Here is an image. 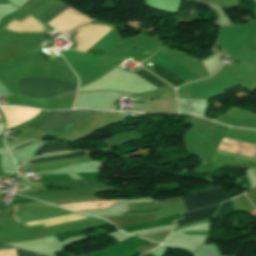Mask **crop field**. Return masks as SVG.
<instances>
[{"label": "crop field", "instance_id": "crop-field-1", "mask_svg": "<svg viewBox=\"0 0 256 256\" xmlns=\"http://www.w3.org/2000/svg\"><path fill=\"white\" fill-rule=\"evenodd\" d=\"M18 86L22 96L50 98L60 93L75 91L77 85L58 79L24 77L19 80Z\"/></svg>", "mask_w": 256, "mask_h": 256}, {"label": "crop field", "instance_id": "crop-field-2", "mask_svg": "<svg viewBox=\"0 0 256 256\" xmlns=\"http://www.w3.org/2000/svg\"><path fill=\"white\" fill-rule=\"evenodd\" d=\"M181 198L188 211L211 206L215 203L230 199V197H228L219 188L183 196Z\"/></svg>", "mask_w": 256, "mask_h": 256}, {"label": "crop field", "instance_id": "crop-field-3", "mask_svg": "<svg viewBox=\"0 0 256 256\" xmlns=\"http://www.w3.org/2000/svg\"><path fill=\"white\" fill-rule=\"evenodd\" d=\"M73 121L74 120L70 111H51L45 119L41 120L33 126L42 130H46L57 128Z\"/></svg>", "mask_w": 256, "mask_h": 256}, {"label": "crop field", "instance_id": "crop-field-4", "mask_svg": "<svg viewBox=\"0 0 256 256\" xmlns=\"http://www.w3.org/2000/svg\"><path fill=\"white\" fill-rule=\"evenodd\" d=\"M213 162L224 163L245 168H256V159L217 150Z\"/></svg>", "mask_w": 256, "mask_h": 256}, {"label": "crop field", "instance_id": "crop-field-5", "mask_svg": "<svg viewBox=\"0 0 256 256\" xmlns=\"http://www.w3.org/2000/svg\"><path fill=\"white\" fill-rule=\"evenodd\" d=\"M66 213H72V212L54 207V208L44 209V210L18 212L16 213V215L21 222H25V221H31V220H36V219L51 217L55 215L66 214ZM13 216L16 218L14 213H13ZM18 219L17 221L20 222Z\"/></svg>", "mask_w": 256, "mask_h": 256}, {"label": "crop field", "instance_id": "crop-field-6", "mask_svg": "<svg viewBox=\"0 0 256 256\" xmlns=\"http://www.w3.org/2000/svg\"><path fill=\"white\" fill-rule=\"evenodd\" d=\"M180 113L206 115L208 101L178 99Z\"/></svg>", "mask_w": 256, "mask_h": 256}, {"label": "crop field", "instance_id": "crop-field-7", "mask_svg": "<svg viewBox=\"0 0 256 256\" xmlns=\"http://www.w3.org/2000/svg\"><path fill=\"white\" fill-rule=\"evenodd\" d=\"M218 205L183 213L184 219L177 220L176 222L181 226L194 221L212 218Z\"/></svg>", "mask_w": 256, "mask_h": 256}, {"label": "crop field", "instance_id": "crop-field-8", "mask_svg": "<svg viewBox=\"0 0 256 256\" xmlns=\"http://www.w3.org/2000/svg\"><path fill=\"white\" fill-rule=\"evenodd\" d=\"M104 219H107L113 223H116L117 224L115 225L116 227H123V226L156 221L154 218V214L149 216H142V217H115V218H104Z\"/></svg>", "mask_w": 256, "mask_h": 256}, {"label": "crop field", "instance_id": "crop-field-9", "mask_svg": "<svg viewBox=\"0 0 256 256\" xmlns=\"http://www.w3.org/2000/svg\"><path fill=\"white\" fill-rule=\"evenodd\" d=\"M24 52L23 47L19 43L0 45V63L10 62L12 57Z\"/></svg>", "mask_w": 256, "mask_h": 256}, {"label": "crop field", "instance_id": "crop-field-10", "mask_svg": "<svg viewBox=\"0 0 256 256\" xmlns=\"http://www.w3.org/2000/svg\"><path fill=\"white\" fill-rule=\"evenodd\" d=\"M154 73H156L157 75H159L160 77H162L163 79H165L166 81H168L169 83L174 85L175 87H178V86L184 84V82L180 81L179 79H177L176 77H174L167 71L163 70L156 64H154Z\"/></svg>", "mask_w": 256, "mask_h": 256}, {"label": "crop field", "instance_id": "crop-field-11", "mask_svg": "<svg viewBox=\"0 0 256 256\" xmlns=\"http://www.w3.org/2000/svg\"><path fill=\"white\" fill-rule=\"evenodd\" d=\"M68 150L67 145L63 143H54L44 145L41 148L37 149L34 154H42V153H49V152H58V151H65Z\"/></svg>", "mask_w": 256, "mask_h": 256}, {"label": "crop field", "instance_id": "crop-field-12", "mask_svg": "<svg viewBox=\"0 0 256 256\" xmlns=\"http://www.w3.org/2000/svg\"><path fill=\"white\" fill-rule=\"evenodd\" d=\"M134 74L138 75L139 77H141L142 79L146 80L147 82H149L150 84L154 85L157 88L163 87V86H167L161 80H159L158 78L154 77L153 75L149 74L148 72H146V71H144L142 69L137 71Z\"/></svg>", "mask_w": 256, "mask_h": 256}, {"label": "crop field", "instance_id": "crop-field-13", "mask_svg": "<svg viewBox=\"0 0 256 256\" xmlns=\"http://www.w3.org/2000/svg\"><path fill=\"white\" fill-rule=\"evenodd\" d=\"M85 154H86L85 152L79 151V152L65 154V155L45 157V158H37V159L30 160V164L39 163V162L53 161V160H58V159L70 158V157H76V156H81V155H85Z\"/></svg>", "mask_w": 256, "mask_h": 256}, {"label": "crop field", "instance_id": "crop-field-14", "mask_svg": "<svg viewBox=\"0 0 256 256\" xmlns=\"http://www.w3.org/2000/svg\"><path fill=\"white\" fill-rule=\"evenodd\" d=\"M74 119L79 120V119H85L89 118L95 115L104 114V112H95V111H72Z\"/></svg>", "mask_w": 256, "mask_h": 256}, {"label": "crop field", "instance_id": "crop-field-15", "mask_svg": "<svg viewBox=\"0 0 256 256\" xmlns=\"http://www.w3.org/2000/svg\"><path fill=\"white\" fill-rule=\"evenodd\" d=\"M233 208H232V205H231V202H226L224 204H222L219 208V210L217 211L215 217H218V216H222V215H226V214H229V213H233Z\"/></svg>", "mask_w": 256, "mask_h": 256}, {"label": "crop field", "instance_id": "crop-field-16", "mask_svg": "<svg viewBox=\"0 0 256 256\" xmlns=\"http://www.w3.org/2000/svg\"><path fill=\"white\" fill-rule=\"evenodd\" d=\"M15 251H16V256H37L35 253H31V252L16 249V248H15Z\"/></svg>", "mask_w": 256, "mask_h": 256}, {"label": "crop field", "instance_id": "crop-field-17", "mask_svg": "<svg viewBox=\"0 0 256 256\" xmlns=\"http://www.w3.org/2000/svg\"><path fill=\"white\" fill-rule=\"evenodd\" d=\"M67 6H63L61 7L59 10H57L56 12H54L52 15H50L44 22H49L51 19H53L55 16H57L60 12H62L64 9H66Z\"/></svg>", "mask_w": 256, "mask_h": 256}, {"label": "crop field", "instance_id": "crop-field-18", "mask_svg": "<svg viewBox=\"0 0 256 256\" xmlns=\"http://www.w3.org/2000/svg\"><path fill=\"white\" fill-rule=\"evenodd\" d=\"M38 53L42 56V58H44L45 60H48L49 55L45 54V53L42 52V51H40V52H38Z\"/></svg>", "mask_w": 256, "mask_h": 256}, {"label": "crop field", "instance_id": "crop-field-19", "mask_svg": "<svg viewBox=\"0 0 256 256\" xmlns=\"http://www.w3.org/2000/svg\"><path fill=\"white\" fill-rule=\"evenodd\" d=\"M157 210H159V209L147 210V211H128V213L151 212V211H157Z\"/></svg>", "mask_w": 256, "mask_h": 256}, {"label": "crop field", "instance_id": "crop-field-20", "mask_svg": "<svg viewBox=\"0 0 256 256\" xmlns=\"http://www.w3.org/2000/svg\"><path fill=\"white\" fill-rule=\"evenodd\" d=\"M143 256H154V255L147 253V254H145Z\"/></svg>", "mask_w": 256, "mask_h": 256}, {"label": "crop field", "instance_id": "crop-field-21", "mask_svg": "<svg viewBox=\"0 0 256 256\" xmlns=\"http://www.w3.org/2000/svg\"><path fill=\"white\" fill-rule=\"evenodd\" d=\"M2 119L1 115H0V120Z\"/></svg>", "mask_w": 256, "mask_h": 256}, {"label": "crop field", "instance_id": "crop-field-22", "mask_svg": "<svg viewBox=\"0 0 256 256\" xmlns=\"http://www.w3.org/2000/svg\"><path fill=\"white\" fill-rule=\"evenodd\" d=\"M38 256H42V255H39V254H38Z\"/></svg>", "mask_w": 256, "mask_h": 256}, {"label": "crop field", "instance_id": "crop-field-23", "mask_svg": "<svg viewBox=\"0 0 256 256\" xmlns=\"http://www.w3.org/2000/svg\"><path fill=\"white\" fill-rule=\"evenodd\" d=\"M0 246H2V244H0Z\"/></svg>", "mask_w": 256, "mask_h": 256}]
</instances>
